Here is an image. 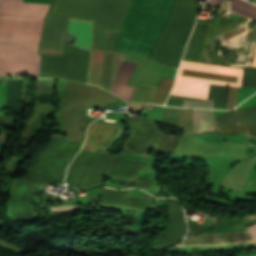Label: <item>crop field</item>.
I'll return each mask as SVG.
<instances>
[{
	"instance_id": "crop-field-1",
	"label": "crop field",
	"mask_w": 256,
	"mask_h": 256,
	"mask_svg": "<svg viewBox=\"0 0 256 256\" xmlns=\"http://www.w3.org/2000/svg\"><path fill=\"white\" fill-rule=\"evenodd\" d=\"M131 0H54L48 12L92 21L93 27L119 31ZM173 0H132L111 51L148 59L170 13ZM193 0H174L170 16L149 61L177 68L194 25Z\"/></svg>"
},
{
	"instance_id": "crop-field-2",
	"label": "crop field",
	"mask_w": 256,
	"mask_h": 256,
	"mask_svg": "<svg viewBox=\"0 0 256 256\" xmlns=\"http://www.w3.org/2000/svg\"><path fill=\"white\" fill-rule=\"evenodd\" d=\"M235 22L215 19L196 23L171 95L206 99L209 84L240 87L243 69L200 64L210 30H231Z\"/></svg>"
},
{
	"instance_id": "crop-field-3",
	"label": "crop field",
	"mask_w": 256,
	"mask_h": 256,
	"mask_svg": "<svg viewBox=\"0 0 256 256\" xmlns=\"http://www.w3.org/2000/svg\"><path fill=\"white\" fill-rule=\"evenodd\" d=\"M55 90L60 109L52 116L70 142L84 143L87 126L93 121L86 114L87 108L108 106L117 109L118 98L96 86L58 80Z\"/></svg>"
},
{
	"instance_id": "crop-field-4",
	"label": "crop field",
	"mask_w": 256,
	"mask_h": 256,
	"mask_svg": "<svg viewBox=\"0 0 256 256\" xmlns=\"http://www.w3.org/2000/svg\"><path fill=\"white\" fill-rule=\"evenodd\" d=\"M43 19L0 15V60L40 63L37 50Z\"/></svg>"
},
{
	"instance_id": "crop-field-5",
	"label": "crop field",
	"mask_w": 256,
	"mask_h": 256,
	"mask_svg": "<svg viewBox=\"0 0 256 256\" xmlns=\"http://www.w3.org/2000/svg\"><path fill=\"white\" fill-rule=\"evenodd\" d=\"M63 134L53 135L42 150L35 153L23 180L43 187L63 182L64 173L82 145L67 142Z\"/></svg>"
},
{
	"instance_id": "crop-field-6",
	"label": "crop field",
	"mask_w": 256,
	"mask_h": 256,
	"mask_svg": "<svg viewBox=\"0 0 256 256\" xmlns=\"http://www.w3.org/2000/svg\"><path fill=\"white\" fill-rule=\"evenodd\" d=\"M90 52L65 45L63 55H42L40 78H63L86 83Z\"/></svg>"
},
{
	"instance_id": "crop-field-7",
	"label": "crop field",
	"mask_w": 256,
	"mask_h": 256,
	"mask_svg": "<svg viewBox=\"0 0 256 256\" xmlns=\"http://www.w3.org/2000/svg\"><path fill=\"white\" fill-rule=\"evenodd\" d=\"M127 123L131 128V132L124 143V148L147 155L161 135L156 123L145 119L134 118H129Z\"/></svg>"
},
{
	"instance_id": "crop-field-8",
	"label": "crop field",
	"mask_w": 256,
	"mask_h": 256,
	"mask_svg": "<svg viewBox=\"0 0 256 256\" xmlns=\"http://www.w3.org/2000/svg\"><path fill=\"white\" fill-rule=\"evenodd\" d=\"M216 130L222 135L246 133L256 137V108L229 112L212 121Z\"/></svg>"
},
{
	"instance_id": "crop-field-9",
	"label": "crop field",
	"mask_w": 256,
	"mask_h": 256,
	"mask_svg": "<svg viewBox=\"0 0 256 256\" xmlns=\"http://www.w3.org/2000/svg\"><path fill=\"white\" fill-rule=\"evenodd\" d=\"M117 53L92 48L88 83L110 91Z\"/></svg>"
},
{
	"instance_id": "crop-field-10",
	"label": "crop field",
	"mask_w": 256,
	"mask_h": 256,
	"mask_svg": "<svg viewBox=\"0 0 256 256\" xmlns=\"http://www.w3.org/2000/svg\"><path fill=\"white\" fill-rule=\"evenodd\" d=\"M256 240V225L248 227ZM249 231L202 233L185 237L177 246L226 245L255 242Z\"/></svg>"
},
{
	"instance_id": "crop-field-11",
	"label": "crop field",
	"mask_w": 256,
	"mask_h": 256,
	"mask_svg": "<svg viewBox=\"0 0 256 256\" xmlns=\"http://www.w3.org/2000/svg\"><path fill=\"white\" fill-rule=\"evenodd\" d=\"M68 21L69 19L67 18L46 16L39 50L40 54H62Z\"/></svg>"
},
{
	"instance_id": "crop-field-12",
	"label": "crop field",
	"mask_w": 256,
	"mask_h": 256,
	"mask_svg": "<svg viewBox=\"0 0 256 256\" xmlns=\"http://www.w3.org/2000/svg\"><path fill=\"white\" fill-rule=\"evenodd\" d=\"M165 200L169 203L173 214L168 229L164 232L156 244V246L163 248L179 242L185 231V219L179 202L175 199Z\"/></svg>"
},
{
	"instance_id": "crop-field-13",
	"label": "crop field",
	"mask_w": 256,
	"mask_h": 256,
	"mask_svg": "<svg viewBox=\"0 0 256 256\" xmlns=\"http://www.w3.org/2000/svg\"><path fill=\"white\" fill-rule=\"evenodd\" d=\"M40 188L22 182L11 194V203L14 216L34 217L31 198Z\"/></svg>"
},
{
	"instance_id": "crop-field-14",
	"label": "crop field",
	"mask_w": 256,
	"mask_h": 256,
	"mask_svg": "<svg viewBox=\"0 0 256 256\" xmlns=\"http://www.w3.org/2000/svg\"><path fill=\"white\" fill-rule=\"evenodd\" d=\"M118 126L94 121L88 131L84 150L94 152L96 148L106 149L109 139L114 135Z\"/></svg>"
},
{
	"instance_id": "crop-field-15",
	"label": "crop field",
	"mask_w": 256,
	"mask_h": 256,
	"mask_svg": "<svg viewBox=\"0 0 256 256\" xmlns=\"http://www.w3.org/2000/svg\"><path fill=\"white\" fill-rule=\"evenodd\" d=\"M49 5L21 3V0H0V13L44 17Z\"/></svg>"
},
{
	"instance_id": "crop-field-16",
	"label": "crop field",
	"mask_w": 256,
	"mask_h": 256,
	"mask_svg": "<svg viewBox=\"0 0 256 256\" xmlns=\"http://www.w3.org/2000/svg\"><path fill=\"white\" fill-rule=\"evenodd\" d=\"M96 157L97 154L95 153L81 150L72 162L68 170L65 182L78 189L85 171Z\"/></svg>"
},
{
	"instance_id": "crop-field-17",
	"label": "crop field",
	"mask_w": 256,
	"mask_h": 256,
	"mask_svg": "<svg viewBox=\"0 0 256 256\" xmlns=\"http://www.w3.org/2000/svg\"><path fill=\"white\" fill-rule=\"evenodd\" d=\"M127 194L128 189L114 191L104 188L100 204L131 208H149L152 206L151 200L127 199Z\"/></svg>"
},
{
	"instance_id": "crop-field-18",
	"label": "crop field",
	"mask_w": 256,
	"mask_h": 256,
	"mask_svg": "<svg viewBox=\"0 0 256 256\" xmlns=\"http://www.w3.org/2000/svg\"><path fill=\"white\" fill-rule=\"evenodd\" d=\"M96 153L99 154L96 161L93 162L89 168L80 189H86L92 186H100L103 183L101 176L106 168V165L111 158V154L104 150H96Z\"/></svg>"
},
{
	"instance_id": "crop-field-19",
	"label": "crop field",
	"mask_w": 256,
	"mask_h": 256,
	"mask_svg": "<svg viewBox=\"0 0 256 256\" xmlns=\"http://www.w3.org/2000/svg\"><path fill=\"white\" fill-rule=\"evenodd\" d=\"M136 64L123 61L115 78L111 93L124 99L128 104L131 100L135 87L126 86Z\"/></svg>"
},
{
	"instance_id": "crop-field-20",
	"label": "crop field",
	"mask_w": 256,
	"mask_h": 256,
	"mask_svg": "<svg viewBox=\"0 0 256 256\" xmlns=\"http://www.w3.org/2000/svg\"><path fill=\"white\" fill-rule=\"evenodd\" d=\"M67 33L76 36L74 46L91 51L92 23L70 19Z\"/></svg>"
},
{
	"instance_id": "crop-field-21",
	"label": "crop field",
	"mask_w": 256,
	"mask_h": 256,
	"mask_svg": "<svg viewBox=\"0 0 256 256\" xmlns=\"http://www.w3.org/2000/svg\"><path fill=\"white\" fill-rule=\"evenodd\" d=\"M115 156H114V158H115ZM114 158H113V160H114ZM113 160L111 162V165L113 163ZM111 165L106 173L107 175L110 171ZM148 165L149 164H147V163H141V162H135V161L115 158V161L112 165V169H111L109 175L134 179L137 169L147 170Z\"/></svg>"
},
{
	"instance_id": "crop-field-22",
	"label": "crop field",
	"mask_w": 256,
	"mask_h": 256,
	"mask_svg": "<svg viewBox=\"0 0 256 256\" xmlns=\"http://www.w3.org/2000/svg\"><path fill=\"white\" fill-rule=\"evenodd\" d=\"M40 64L0 61V75H38Z\"/></svg>"
},
{
	"instance_id": "crop-field-23",
	"label": "crop field",
	"mask_w": 256,
	"mask_h": 256,
	"mask_svg": "<svg viewBox=\"0 0 256 256\" xmlns=\"http://www.w3.org/2000/svg\"><path fill=\"white\" fill-rule=\"evenodd\" d=\"M157 87L156 85L139 81L131 102L143 104L152 103Z\"/></svg>"
},
{
	"instance_id": "crop-field-24",
	"label": "crop field",
	"mask_w": 256,
	"mask_h": 256,
	"mask_svg": "<svg viewBox=\"0 0 256 256\" xmlns=\"http://www.w3.org/2000/svg\"><path fill=\"white\" fill-rule=\"evenodd\" d=\"M213 112L193 110L194 134L215 130L211 124Z\"/></svg>"
},
{
	"instance_id": "crop-field-25",
	"label": "crop field",
	"mask_w": 256,
	"mask_h": 256,
	"mask_svg": "<svg viewBox=\"0 0 256 256\" xmlns=\"http://www.w3.org/2000/svg\"><path fill=\"white\" fill-rule=\"evenodd\" d=\"M245 1V0H244ZM242 0H231L230 12L244 15L256 20V5L249 4Z\"/></svg>"
},
{
	"instance_id": "crop-field-26",
	"label": "crop field",
	"mask_w": 256,
	"mask_h": 256,
	"mask_svg": "<svg viewBox=\"0 0 256 256\" xmlns=\"http://www.w3.org/2000/svg\"><path fill=\"white\" fill-rule=\"evenodd\" d=\"M227 89L228 87L210 85L207 99H213L215 109H227L225 101Z\"/></svg>"
},
{
	"instance_id": "crop-field-27",
	"label": "crop field",
	"mask_w": 256,
	"mask_h": 256,
	"mask_svg": "<svg viewBox=\"0 0 256 256\" xmlns=\"http://www.w3.org/2000/svg\"><path fill=\"white\" fill-rule=\"evenodd\" d=\"M173 81H174V79H171V78H165V77L161 78V81H160V84H159V87H158V90H157V93H156L153 103L159 104V105H162L164 103V101L167 97V94L173 85Z\"/></svg>"
},
{
	"instance_id": "crop-field-28",
	"label": "crop field",
	"mask_w": 256,
	"mask_h": 256,
	"mask_svg": "<svg viewBox=\"0 0 256 256\" xmlns=\"http://www.w3.org/2000/svg\"><path fill=\"white\" fill-rule=\"evenodd\" d=\"M178 126L183 128L181 135L193 134L192 110L182 109Z\"/></svg>"
},
{
	"instance_id": "crop-field-29",
	"label": "crop field",
	"mask_w": 256,
	"mask_h": 256,
	"mask_svg": "<svg viewBox=\"0 0 256 256\" xmlns=\"http://www.w3.org/2000/svg\"><path fill=\"white\" fill-rule=\"evenodd\" d=\"M241 87L256 88V68H244Z\"/></svg>"
},
{
	"instance_id": "crop-field-30",
	"label": "crop field",
	"mask_w": 256,
	"mask_h": 256,
	"mask_svg": "<svg viewBox=\"0 0 256 256\" xmlns=\"http://www.w3.org/2000/svg\"><path fill=\"white\" fill-rule=\"evenodd\" d=\"M183 107H198V108L214 109L212 100H204V101H199V102L184 101Z\"/></svg>"
},
{
	"instance_id": "crop-field-31",
	"label": "crop field",
	"mask_w": 256,
	"mask_h": 256,
	"mask_svg": "<svg viewBox=\"0 0 256 256\" xmlns=\"http://www.w3.org/2000/svg\"><path fill=\"white\" fill-rule=\"evenodd\" d=\"M236 92H237V88L229 87V96H228V102H227L228 109L235 107Z\"/></svg>"
},
{
	"instance_id": "crop-field-32",
	"label": "crop field",
	"mask_w": 256,
	"mask_h": 256,
	"mask_svg": "<svg viewBox=\"0 0 256 256\" xmlns=\"http://www.w3.org/2000/svg\"><path fill=\"white\" fill-rule=\"evenodd\" d=\"M225 220H226V219H221L217 224L212 225V226H208V227H203V226H200V225H196V224H192V223H191V230H190V233H199V232L205 231V230H207V229L214 228V227H216L217 225L223 223Z\"/></svg>"
},
{
	"instance_id": "crop-field-33",
	"label": "crop field",
	"mask_w": 256,
	"mask_h": 256,
	"mask_svg": "<svg viewBox=\"0 0 256 256\" xmlns=\"http://www.w3.org/2000/svg\"><path fill=\"white\" fill-rule=\"evenodd\" d=\"M20 252L0 246V256H20Z\"/></svg>"
},
{
	"instance_id": "crop-field-34",
	"label": "crop field",
	"mask_w": 256,
	"mask_h": 256,
	"mask_svg": "<svg viewBox=\"0 0 256 256\" xmlns=\"http://www.w3.org/2000/svg\"><path fill=\"white\" fill-rule=\"evenodd\" d=\"M51 211L76 212L77 211V205L61 206V207H58V208H52Z\"/></svg>"
},
{
	"instance_id": "crop-field-35",
	"label": "crop field",
	"mask_w": 256,
	"mask_h": 256,
	"mask_svg": "<svg viewBox=\"0 0 256 256\" xmlns=\"http://www.w3.org/2000/svg\"><path fill=\"white\" fill-rule=\"evenodd\" d=\"M121 115H122V113H106L105 118L117 120L116 125H118L119 121H120V118H121ZM97 121L104 122L103 119H100V120H97ZM105 123H107V122H105ZM111 124H113V123H111Z\"/></svg>"
},
{
	"instance_id": "crop-field-36",
	"label": "crop field",
	"mask_w": 256,
	"mask_h": 256,
	"mask_svg": "<svg viewBox=\"0 0 256 256\" xmlns=\"http://www.w3.org/2000/svg\"><path fill=\"white\" fill-rule=\"evenodd\" d=\"M151 184H152L151 181H147V180H143V179H139V178H137V181H136V185H139V186H142V187L148 188V189Z\"/></svg>"
},
{
	"instance_id": "crop-field-37",
	"label": "crop field",
	"mask_w": 256,
	"mask_h": 256,
	"mask_svg": "<svg viewBox=\"0 0 256 256\" xmlns=\"http://www.w3.org/2000/svg\"><path fill=\"white\" fill-rule=\"evenodd\" d=\"M0 244H2V245H4V246H7V247H9V248L15 249V250H19V251H21V252L25 253V251H24V250L18 249V248L13 247V246H10V245H8V244H6V243L2 242V241H0Z\"/></svg>"
},
{
	"instance_id": "crop-field-38",
	"label": "crop field",
	"mask_w": 256,
	"mask_h": 256,
	"mask_svg": "<svg viewBox=\"0 0 256 256\" xmlns=\"http://www.w3.org/2000/svg\"><path fill=\"white\" fill-rule=\"evenodd\" d=\"M222 1L223 0H208L207 3H211V4H215V5L219 6Z\"/></svg>"
},
{
	"instance_id": "crop-field-39",
	"label": "crop field",
	"mask_w": 256,
	"mask_h": 256,
	"mask_svg": "<svg viewBox=\"0 0 256 256\" xmlns=\"http://www.w3.org/2000/svg\"><path fill=\"white\" fill-rule=\"evenodd\" d=\"M252 67H256V54H255V58H254V62H253V66Z\"/></svg>"
},
{
	"instance_id": "crop-field-40",
	"label": "crop field",
	"mask_w": 256,
	"mask_h": 256,
	"mask_svg": "<svg viewBox=\"0 0 256 256\" xmlns=\"http://www.w3.org/2000/svg\"><path fill=\"white\" fill-rule=\"evenodd\" d=\"M254 217H256V216H252V217H246V218H244V220H245V219H248V218H254Z\"/></svg>"
}]
</instances>
